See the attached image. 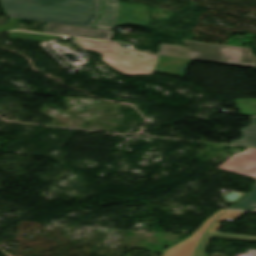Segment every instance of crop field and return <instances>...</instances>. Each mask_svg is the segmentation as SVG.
I'll return each mask as SVG.
<instances>
[{"label":"crop field","instance_id":"obj_1","mask_svg":"<svg viewBox=\"0 0 256 256\" xmlns=\"http://www.w3.org/2000/svg\"><path fill=\"white\" fill-rule=\"evenodd\" d=\"M102 0H1L9 17L93 27Z\"/></svg>","mask_w":256,"mask_h":256},{"label":"crop field","instance_id":"obj_2","mask_svg":"<svg viewBox=\"0 0 256 256\" xmlns=\"http://www.w3.org/2000/svg\"><path fill=\"white\" fill-rule=\"evenodd\" d=\"M183 41L188 46L187 48L161 44L157 55L256 68V56L251 53L250 49L184 39Z\"/></svg>","mask_w":256,"mask_h":256},{"label":"crop field","instance_id":"obj_3","mask_svg":"<svg viewBox=\"0 0 256 256\" xmlns=\"http://www.w3.org/2000/svg\"><path fill=\"white\" fill-rule=\"evenodd\" d=\"M78 43L84 48L97 51L102 54L103 60L114 69L128 75L152 74L159 56L141 53L129 49H124L121 44L101 42L94 40L78 39ZM124 51L130 53L127 55ZM137 53L145 59L137 57ZM127 64V66H124Z\"/></svg>","mask_w":256,"mask_h":256},{"label":"crop field","instance_id":"obj_4","mask_svg":"<svg viewBox=\"0 0 256 256\" xmlns=\"http://www.w3.org/2000/svg\"><path fill=\"white\" fill-rule=\"evenodd\" d=\"M218 169L254 177L256 179V149L247 148L244 152L233 155Z\"/></svg>","mask_w":256,"mask_h":256},{"label":"crop field","instance_id":"obj_5","mask_svg":"<svg viewBox=\"0 0 256 256\" xmlns=\"http://www.w3.org/2000/svg\"><path fill=\"white\" fill-rule=\"evenodd\" d=\"M43 32L83 37V38H91V39H102V40H109L113 33V31H107V30L97 29V31H95L94 28H89V27H80V26H71V25H62V24H53V23H48L45 29L43 30Z\"/></svg>","mask_w":256,"mask_h":256},{"label":"crop field","instance_id":"obj_6","mask_svg":"<svg viewBox=\"0 0 256 256\" xmlns=\"http://www.w3.org/2000/svg\"><path fill=\"white\" fill-rule=\"evenodd\" d=\"M191 60L160 56L154 71L184 76Z\"/></svg>","mask_w":256,"mask_h":256},{"label":"crop field","instance_id":"obj_7","mask_svg":"<svg viewBox=\"0 0 256 256\" xmlns=\"http://www.w3.org/2000/svg\"><path fill=\"white\" fill-rule=\"evenodd\" d=\"M118 0H104L103 12L96 28L112 30L116 25Z\"/></svg>","mask_w":256,"mask_h":256},{"label":"crop field","instance_id":"obj_8","mask_svg":"<svg viewBox=\"0 0 256 256\" xmlns=\"http://www.w3.org/2000/svg\"><path fill=\"white\" fill-rule=\"evenodd\" d=\"M251 120V125L241 130L243 138L233 141L231 144L256 146V118L251 117Z\"/></svg>","mask_w":256,"mask_h":256},{"label":"crop field","instance_id":"obj_9","mask_svg":"<svg viewBox=\"0 0 256 256\" xmlns=\"http://www.w3.org/2000/svg\"><path fill=\"white\" fill-rule=\"evenodd\" d=\"M254 207H256V184L253 190L247 196H245L231 208L253 210Z\"/></svg>","mask_w":256,"mask_h":256},{"label":"crop field","instance_id":"obj_10","mask_svg":"<svg viewBox=\"0 0 256 256\" xmlns=\"http://www.w3.org/2000/svg\"><path fill=\"white\" fill-rule=\"evenodd\" d=\"M235 100L241 114L256 116V99H235Z\"/></svg>","mask_w":256,"mask_h":256},{"label":"crop field","instance_id":"obj_11","mask_svg":"<svg viewBox=\"0 0 256 256\" xmlns=\"http://www.w3.org/2000/svg\"><path fill=\"white\" fill-rule=\"evenodd\" d=\"M11 37L24 38V39H33V40H41V41H47V40H53V39L59 38V36L32 34V33L18 32V31L12 32L11 33Z\"/></svg>","mask_w":256,"mask_h":256},{"label":"crop field","instance_id":"obj_12","mask_svg":"<svg viewBox=\"0 0 256 256\" xmlns=\"http://www.w3.org/2000/svg\"><path fill=\"white\" fill-rule=\"evenodd\" d=\"M18 19L10 18L6 26H0V31L13 30Z\"/></svg>","mask_w":256,"mask_h":256}]
</instances>
